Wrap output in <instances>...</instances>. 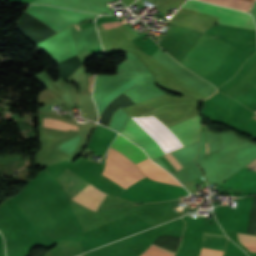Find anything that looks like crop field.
Returning <instances> with one entry per match:
<instances>
[{
  "label": "crop field",
  "instance_id": "d1516ede",
  "mask_svg": "<svg viewBox=\"0 0 256 256\" xmlns=\"http://www.w3.org/2000/svg\"><path fill=\"white\" fill-rule=\"evenodd\" d=\"M141 256H173V255L149 246V248L143 254H141Z\"/></svg>",
  "mask_w": 256,
  "mask_h": 256
},
{
  "label": "crop field",
  "instance_id": "3316defc",
  "mask_svg": "<svg viewBox=\"0 0 256 256\" xmlns=\"http://www.w3.org/2000/svg\"><path fill=\"white\" fill-rule=\"evenodd\" d=\"M237 234H240V233H237ZM241 235H247V234H241ZM241 235H238V239L256 242V238H253V237H256V236H254V235H247V236H253V237H247V236H241ZM241 240H239V241H240L247 249H249L251 252H256V243L247 242V241H241Z\"/></svg>",
  "mask_w": 256,
  "mask_h": 256
},
{
  "label": "crop field",
  "instance_id": "f4fd0767",
  "mask_svg": "<svg viewBox=\"0 0 256 256\" xmlns=\"http://www.w3.org/2000/svg\"><path fill=\"white\" fill-rule=\"evenodd\" d=\"M87 138L88 135L78 133L59 143L56 150L73 156L80 143L86 145Z\"/></svg>",
  "mask_w": 256,
  "mask_h": 256
},
{
  "label": "crop field",
  "instance_id": "5142ce71",
  "mask_svg": "<svg viewBox=\"0 0 256 256\" xmlns=\"http://www.w3.org/2000/svg\"><path fill=\"white\" fill-rule=\"evenodd\" d=\"M206 148H207V143H206ZM207 153H208V148H207Z\"/></svg>",
  "mask_w": 256,
  "mask_h": 256
},
{
  "label": "crop field",
  "instance_id": "8a807250",
  "mask_svg": "<svg viewBox=\"0 0 256 256\" xmlns=\"http://www.w3.org/2000/svg\"><path fill=\"white\" fill-rule=\"evenodd\" d=\"M112 147L122 152L136 165L149 159L139 147L135 146L121 135H118L116 140L113 142ZM112 147L110 148L107 161L117 166L137 180L145 177L131 160H129L126 156ZM109 162L106 163V167L102 175L118 183L124 189L137 181Z\"/></svg>",
  "mask_w": 256,
  "mask_h": 256
},
{
  "label": "crop field",
  "instance_id": "dd49c442",
  "mask_svg": "<svg viewBox=\"0 0 256 256\" xmlns=\"http://www.w3.org/2000/svg\"><path fill=\"white\" fill-rule=\"evenodd\" d=\"M227 238L204 234L202 249L223 253Z\"/></svg>",
  "mask_w": 256,
  "mask_h": 256
},
{
  "label": "crop field",
  "instance_id": "34b2d1b8",
  "mask_svg": "<svg viewBox=\"0 0 256 256\" xmlns=\"http://www.w3.org/2000/svg\"><path fill=\"white\" fill-rule=\"evenodd\" d=\"M57 178L71 199L89 185V183L68 168ZM106 195L107 194L90 184L72 200L96 212Z\"/></svg>",
  "mask_w": 256,
  "mask_h": 256
},
{
  "label": "crop field",
  "instance_id": "e52e79f7",
  "mask_svg": "<svg viewBox=\"0 0 256 256\" xmlns=\"http://www.w3.org/2000/svg\"><path fill=\"white\" fill-rule=\"evenodd\" d=\"M43 126L60 129V130H65V131H67L68 129L78 130V127H76L72 124L65 123V122H62L59 120H55V119H48V118H44Z\"/></svg>",
  "mask_w": 256,
  "mask_h": 256
},
{
  "label": "crop field",
  "instance_id": "d8731c3e",
  "mask_svg": "<svg viewBox=\"0 0 256 256\" xmlns=\"http://www.w3.org/2000/svg\"><path fill=\"white\" fill-rule=\"evenodd\" d=\"M134 86L133 81L131 80L130 82L126 83L125 85L121 86L118 88L116 91H114L112 94H110L98 107L101 111L104 110V108L111 102L113 101L120 93L123 91L129 89L130 87Z\"/></svg>",
  "mask_w": 256,
  "mask_h": 256
},
{
  "label": "crop field",
  "instance_id": "ac0d7876",
  "mask_svg": "<svg viewBox=\"0 0 256 256\" xmlns=\"http://www.w3.org/2000/svg\"><path fill=\"white\" fill-rule=\"evenodd\" d=\"M169 129L183 146L190 144L198 140L200 116H193L175 126L169 127ZM121 134L138 143L151 159L165 154L157 142L133 118L129 119Z\"/></svg>",
  "mask_w": 256,
  "mask_h": 256
},
{
  "label": "crop field",
  "instance_id": "28ad6ade",
  "mask_svg": "<svg viewBox=\"0 0 256 256\" xmlns=\"http://www.w3.org/2000/svg\"><path fill=\"white\" fill-rule=\"evenodd\" d=\"M77 95L74 87L67 89L62 92V99L65 100L67 103L75 102L77 101L75 96Z\"/></svg>",
  "mask_w": 256,
  "mask_h": 256
},
{
  "label": "crop field",
  "instance_id": "22f410ed",
  "mask_svg": "<svg viewBox=\"0 0 256 256\" xmlns=\"http://www.w3.org/2000/svg\"><path fill=\"white\" fill-rule=\"evenodd\" d=\"M247 166H249V167H251V168L256 170V159L253 162H251L249 165H247Z\"/></svg>",
  "mask_w": 256,
  "mask_h": 256
},
{
  "label": "crop field",
  "instance_id": "d9b57169",
  "mask_svg": "<svg viewBox=\"0 0 256 256\" xmlns=\"http://www.w3.org/2000/svg\"><path fill=\"white\" fill-rule=\"evenodd\" d=\"M80 256H82V255H80Z\"/></svg>",
  "mask_w": 256,
  "mask_h": 256
},
{
  "label": "crop field",
  "instance_id": "5a996713",
  "mask_svg": "<svg viewBox=\"0 0 256 256\" xmlns=\"http://www.w3.org/2000/svg\"><path fill=\"white\" fill-rule=\"evenodd\" d=\"M170 162L171 164L176 168V169H180L182 168V166L176 161V159L170 154H166L164 155ZM164 156H160L159 158L161 159V161L173 172L176 171V169L170 164V162L164 157Z\"/></svg>",
  "mask_w": 256,
  "mask_h": 256
},
{
  "label": "crop field",
  "instance_id": "cbeb9de0",
  "mask_svg": "<svg viewBox=\"0 0 256 256\" xmlns=\"http://www.w3.org/2000/svg\"><path fill=\"white\" fill-rule=\"evenodd\" d=\"M76 26V28H77V30H79L80 28H79V26H77V25H75Z\"/></svg>",
  "mask_w": 256,
  "mask_h": 256
},
{
  "label": "crop field",
  "instance_id": "412701ff",
  "mask_svg": "<svg viewBox=\"0 0 256 256\" xmlns=\"http://www.w3.org/2000/svg\"><path fill=\"white\" fill-rule=\"evenodd\" d=\"M183 8L219 17L217 23L256 30L251 16L243 12L195 0L186 1Z\"/></svg>",
  "mask_w": 256,
  "mask_h": 256
}]
</instances>
